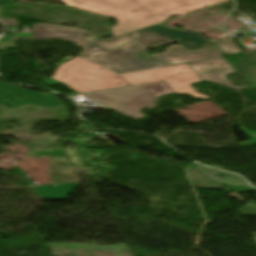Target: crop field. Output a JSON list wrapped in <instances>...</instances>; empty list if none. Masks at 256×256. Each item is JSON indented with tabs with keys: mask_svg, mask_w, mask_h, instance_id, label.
Returning <instances> with one entry per match:
<instances>
[{
	"mask_svg": "<svg viewBox=\"0 0 256 256\" xmlns=\"http://www.w3.org/2000/svg\"><path fill=\"white\" fill-rule=\"evenodd\" d=\"M46 155H52V156H56V157L67 158L63 149L56 150V151H42V152H39V153L35 154L36 157L46 156Z\"/></svg>",
	"mask_w": 256,
	"mask_h": 256,
	"instance_id": "crop-field-15",
	"label": "crop field"
},
{
	"mask_svg": "<svg viewBox=\"0 0 256 256\" xmlns=\"http://www.w3.org/2000/svg\"><path fill=\"white\" fill-rule=\"evenodd\" d=\"M72 3H75L74 1H70V2H68V4H72Z\"/></svg>",
	"mask_w": 256,
	"mask_h": 256,
	"instance_id": "crop-field-20",
	"label": "crop field"
},
{
	"mask_svg": "<svg viewBox=\"0 0 256 256\" xmlns=\"http://www.w3.org/2000/svg\"><path fill=\"white\" fill-rule=\"evenodd\" d=\"M216 47L220 48L223 50L228 56L232 54H236L239 52H242L231 40L230 38H227L217 44H215Z\"/></svg>",
	"mask_w": 256,
	"mask_h": 256,
	"instance_id": "crop-field-13",
	"label": "crop field"
},
{
	"mask_svg": "<svg viewBox=\"0 0 256 256\" xmlns=\"http://www.w3.org/2000/svg\"><path fill=\"white\" fill-rule=\"evenodd\" d=\"M101 41L89 43L90 45L78 55L109 70L113 68L115 69L114 72L118 74L170 66V64L163 62L146 65L140 59L134 57L132 54L143 48L130 33ZM131 46L133 47L131 48Z\"/></svg>",
	"mask_w": 256,
	"mask_h": 256,
	"instance_id": "crop-field-2",
	"label": "crop field"
},
{
	"mask_svg": "<svg viewBox=\"0 0 256 256\" xmlns=\"http://www.w3.org/2000/svg\"><path fill=\"white\" fill-rule=\"evenodd\" d=\"M13 0H0V4H11Z\"/></svg>",
	"mask_w": 256,
	"mask_h": 256,
	"instance_id": "crop-field-17",
	"label": "crop field"
},
{
	"mask_svg": "<svg viewBox=\"0 0 256 256\" xmlns=\"http://www.w3.org/2000/svg\"><path fill=\"white\" fill-rule=\"evenodd\" d=\"M0 85V104H5L11 109L26 104H34L48 109L62 106L53 94L28 91L1 81ZM23 90H25V92H23ZM42 94H45V97L42 96ZM18 96H21L22 98L18 99ZM6 97H9V99L3 100Z\"/></svg>",
	"mask_w": 256,
	"mask_h": 256,
	"instance_id": "crop-field-7",
	"label": "crop field"
},
{
	"mask_svg": "<svg viewBox=\"0 0 256 256\" xmlns=\"http://www.w3.org/2000/svg\"><path fill=\"white\" fill-rule=\"evenodd\" d=\"M66 4L70 0H61ZM76 9L114 18L115 36L128 33L135 27L158 24L172 16H185L229 0H75ZM136 10L135 13L132 11Z\"/></svg>",
	"mask_w": 256,
	"mask_h": 256,
	"instance_id": "crop-field-1",
	"label": "crop field"
},
{
	"mask_svg": "<svg viewBox=\"0 0 256 256\" xmlns=\"http://www.w3.org/2000/svg\"><path fill=\"white\" fill-rule=\"evenodd\" d=\"M4 27H8L10 25H20L14 18H6V19H1Z\"/></svg>",
	"mask_w": 256,
	"mask_h": 256,
	"instance_id": "crop-field-16",
	"label": "crop field"
},
{
	"mask_svg": "<svg viewBox=\"0 0 256 256\" xmlns=\"http://www.w3.org/2000/svg\"><path fill=\"white\" fill-rule=\"evenodd\" d=\"M240 129L244 132V134L248 137L250 141L242 142L239 144V146L241 148H244V147H250V146L256 145V133L250 130H246L244 128H240Z\"/></svg>",
	"mask_w": 256,
	"mask_h": 256,
	"instance_id": "crop-field-14",
	"label": "crop field"
},
{
	"mask_svg": "<svg viewBox=\"0 0 256 256\" xmlns=\"http://www.w3.org/2000/svg\"><path fill=\"white\" fill-rule=\"evenodd\" d=\"M140 28H143V27L139 26V27L135 28L134 30H137V29H140ZM132 31H133V30H132Z\"/></svg>",
	"mask_w": 256,
	"mask_h": 256,
	"instance_id": "crop-field-19",
	"label": "crop field"
},
{
	"mask_svg": "<svg viewBox=\"0 0 256 256\" xmlns=\"http://www.w3.org/2000/svg\"><path fill=\"white\" fill-rule=\"evenodd\" d=\"M243 60L233 65L238 72H243L251 88H256V51L239 54Z\"/></svg>",
	"mask_w": 256,
	"mask_h": 256,
	"instance_id": "crop-field-12",
	"label": "crop field"
},
{
	"mask_svg": "<svg viewBox=\"0 0 256 256\" xmlns=\"http://www.w3.org/2000/svg\"><path fill=\"white\" fill-rule=\"evenodd\" d=\"M32 38H14V39H48L59 38L62 40L77 43L79 47L85 48L87 42L96 41L97 39L87 30L75 27H64L52 24L38 23L32 27ZM89 35L87 40L83 35Z\"/></svg>",
	"mask_w": 256,
	"mask_h": 256,
	"instance_id": "crop-field-8",
	"label": "crop field"
},
{
	"mask_svg": "<svg viewBox=\"0 0 256 256\" xmlns=\"http://www.w3.org/2000/svg\"><path fill=\"white\" fill-rule=\"evenodd\" d=\"M240 32H241L244 36H246V37H250V36H251V32H249V31L244 32L243 29H242V30H240Z\"/></svg>",
	"mask_w": 256,
	"mask_h": 256,
	"instance_id": "crop-field-18",
	"label": "crop field"
},
{
	"mask_svg": "<svg viewBox=\"0 0 256 256\" xmlns=\"http://www.w3.org/2000/svg\"><path fill=\"white\" fill-rule=\"evenodd\" d=\"M79 56L58 66L52 78L79 92H91L113 87L128 86L116 73Z\"/></svg>",
	"mask_w": 256,
	"mask_h": 256,
	"instance_id": "crop-field-3",
	"label": "crop field"
},
{
	"mask_svg": "<svg viewBox=\"0 0 256 256\" xmlns=\"http://www.w3.org/2000/svg\"><path fill=\"white\" fill-rule=\"evenodd\" d=\"M27 181L34 192H37L38 196L42 197L45 200L49 199H67V195L73 192L74 188L78 186V184H62L59 186L55 185H45L44 187L36 186L30 179L26 177V175L21 172L18 168L14 167Z\"/></svg>",
	"mask_w": 256,
	"mask_h": 256,
	"instance_id": "crop-field-11",
	"label": "crop field"
},
{
	"mask_svg": "<svg viewBox=\"0 0 256 256\" xmlns=\"http://www.w3.org/2000/svg\"><path fill=\"white\" fill-rule=\"evenodd\" d=\"M139 32H153L157 34V36L154 37L137 38L141 45L144 47V49H151L149 45L160 40H173L175 38L179 39L178 41H176L179 43L178 45L184 47L189 51L204 48L217 42L214 40L207 41L196 31H176L171 28L164 27L161 24L139 30Z\"/></svg>",
	"mask_w": 256,
	"mask_h": 256,
	"instance_id": "crop-field-6",
	"label": "crop field"
},
{
	"mask_svg": "<svg viewBox=\"0 0 256 256\" xmlns=\"http://www.w3.org/2000/svg\"><path fill=\"white\" fill-rule=\"evenodd\" d=\"M176 51H178V53H171ZM151 56L160 61L167 62L173 65H178L219 58L222 57V53L213 46L189 52L182 47L175 45L167 48L166 51L163 53H158Z\"/></svg>",
	"mask_w": 256,
	"mask_h": 256,
	"instance_id": "crop-field-9",
	"label": "crop field"
},
{
	"mask_svg": "<svg viewBox=\"0 0 256 256\" xmlns=\"http://www.w3.org/2000/svg\"><path fill=\"white\" fill-rule=\"evenodd\" d=\"M189 65L200 75L204 81L214 82L233 89H246L232 87L229 81L224 78V75L233 73L234 70L222 58L191 63Z\"/></svg>",
	"mask_w": 256,
	"mask_h": 256,
	"instance_id": "crop-field-10",
	"label": "crop field"
},
{
	"mask_svg": "<svg viewBox=\"0 0 256 256\" xmlns=\"http://www.w3.org/2000/svg\"><path fill=\"white\" fill-rule=\"evenodd\" d=\"M120 76L131 86L164 81L176 94L186 93L194 97L209 99L196 93L190 85L202 81V79L188 64L121 74Z\"/></svg>",
	"mask_w": 256,
	"mask_h": 256,
	"instance_id": "crop-field-5",
	"label": "crop field"
},
{
	"mask_svg": "<svg viewBox=\"0 0 256 256\" xmlns=\"http://www.w3.org/2000/svg\"><path fill=\"white\" fill-rule=\"evenodd\" d=\"M174 93L164 82L134 86L84 96L123 115L138 119L145 117L139 112L142 108H154V100L160 96Z\"/></svg>",
	"mask_w": 256,
	"mask_h": 256,
	"instance_id": "crop-field-4",
	"label": "crop field"
}]
</instances>
